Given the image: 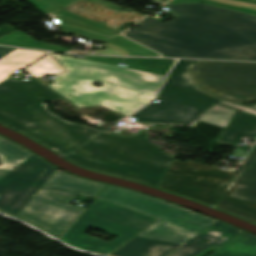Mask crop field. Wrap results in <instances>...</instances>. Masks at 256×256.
<instances>
[{
	"mask_svg": "<svg viewBox=\"0 0 256 256\" xmlns=\"http://www.w3.org/2000/svg\"><path fill=\"white\" fill-rule=\"evenodd\" d=\"M62 97L34 79L0 83V122L89 169L156 186L174 159L147 140L146 130L111 134L60 119L45 102Z\"/></svg>",
	"mask_w": 256,
	"mask_h": 256,
	"instance_id": "obj_1",
	"label": "crop field"
},
{
	"mask_svg": "<svg viewBox=\"0 0 256 256\" xmlns=\"http://www.w3.org/2000/svg\"><path fill=\"white\" fill-rule=\"evenodd\" d=\"M180 14L148 16L124 35L168 57L256 60V16L202 4L165 5Z\"/></svg>",
	"mask_w": 256,
	"mask_h": 256,
	"instance_id": "obj_2",
	"label": "crop field"
},
{
	"mask_svg": "<svg viewBox=\"0 0 256 256\" xmlns=\"http://www.w3.org/2000/svg\"><path fill=\"white\" fill-rule=\"evenodd\" d=\"M52 55L67 72L55 76V83L48 86L77 107L103 105L128 116L154 98L165 78L155 73ZM92 82L104 85L98 88Z\"/></svg>",
	"mask_w": 256,
	"mask_h": 256,
	"instance_id": "obj_3",
	"label": "crop field"
},
{
	"mask_svg": "<svg viewBox=\"0 0 256 256\" xmlns=\"http://www.w3.org/2000/svg\"><path fill=\"white\" fill-rule=\"evenodd\" d=\"M103 185L58 170L38 190L18 217L60 237L83 209L70 203L78 194L95 196Z\"/></svg>",
	"mask_w": 256,
	"mask_h": 256,
	"instance_id": "obj_4",
	"label": "crop field"
},
{
	"mask_svg": "<svg viewBox=\"0 0 256 256\" xmlns=\"http://www.w3.org/2000/svg\"><path fill=\"white\" fill-rule=\"evenodd\" d=\"M158 220L116 204L94 199L62 239L78 248L110 255ZM90 226L119 237L111 243L92 238L84 234Z\"/></svg>",
	"mask_w": 256,
	"mask_h": 256,
	"instance_id": "obj_5",
	"label": "crop field"
},
{
	"mask_svg": "<svg viewBox=\"0 0 256 256\" xmlns=\"http://www.w3.org/2000/svg\"><path fill=\"white\" fill-rule=\"evenodd\" d=\"M197 62H176L157 97L160 102L149 104L132 117L148 123L194 127L202 112L220 102L219 99L198 90L192 82L186 70Z\"/></svg>",
	"mask_w": 256,
	"mask_h": 256,
	"instance_id": "obj_6",
	"label": "crop field"
},
{
	"mask_svg": "<svg viewBox=\"0 0 256 256\" xmlns=\"http://www.w3.org/2000/svg\"><path fill=\"white\" fill-rule=\"evenodd\" d=\"M98 198L161 219L139 234L141 237L184 244L214 222L194 212L116 187L108 186Z\"/></svg>",
	"mask_w": 256,
	"mask_h": 256,
	"instance_id": "obj_7",
	"label": "crop field"
},
{
	"mask_svg": "<svg viewBox=\"0 0 256 256\" xmlns=\"http://www.w3.org/2000/svg\"><path fill=\"white\" fill-rule=\"evenodd\" d=\"M40 11L50 15L53 22L60 28L62 34L68 33L80 36L89 41L102 40L106 42L105 51L98 50V54H117L131 56H159L158 54L140 46L139 44L120 36L106 26L94 22L62 9L81 0H28ZM97 4L121 10L122 7L103 0H89Z\"/></svg>",
	"mask_w": 256,
	"mask_h": 256,
	"instance_id": "obj_8",
	"label": "crop field"
},
{
	"mask_svg": "<svg viewBox=\"0 0 256 256\" xmlns=\"http://www.w3.org/2000/svg\"><path fill=\"white\" fill-rule=\"evenodd\" d=\"M187 71L197 88L223 101H256V63L200 61Z\"/></svg>",
	"mask_w": 256,
	"mask_h": 256,
	"instance_id": "obj_9",
	"label": "crop field"
},
{
	"mask_svg": "<svg viewBox=\"0 0 256 256\" xmlns=\"http://www.w3.org/2000/svg\"><path fill=\"white\" fill-rule=\"evenodd\" d=\"M235 171L236 168L227 171L199 165L192 161H186L183 164L175 159L158 188L176 192L215 207Z\"/></svg>",
	"mask_w": 256,
	"mask_h": 256,
	"instance_id": "obj_10",
	"label": "crop field"
},
{
	"mask_svg": "<svg viewBox=\"0 0 256 256\" xmlns=\"http://www.w3.org/2000/svg\"><path fill=\"white\" fill-rule=\"evenodd\" d=\"M56 169L29 157L0 180V211L17 216Z\"/></svg>",
	"mask_w": 256,
	"mask_h": 256,
	"instance_id": "obj_11",
	"label": "crop field"
},
{
	"mask_svg": "<svg viewBox=\"0 0 256 256\" xmlns=\"http://www.w3.org/2000/svg\"><path fill=\"white\" fill-rule=\"evenodd\" d=\"M216 208L256 223V145L233 177Z\"/></svg>",
	"mask_w": 256,
	"mask_h": 256,
	"instance_id": "obj_12",
	"label": "crop field"
},
{
	"mask_svg": "<svg viewBox=\"0 0 256 256\" xmlns=\"http://www.w3.org/2000/svg\"><path fill=\"white\" fill-rule=\"evenodd\" d=\"M239 232L241 230L217 221L169 256H196L211 245L216 247L223 246L229 240L236 237Z\"/></svg>",
	"mask_w": 256,
	"mask_h": 256,
	"instance_id": "obj_13",
	"label": "crop field"
},
{
	"mask_svg": "<svg viewBox=\"0 0 256 256\" xmlns=\"http://www.w3.org/2000/svg\"><path fill=\"white\" fill-rule=\"evenodd\" d=\"M65 10H68L70 12H73L75 14H78L80 16L86 17L91 20L98 21L102 23V21L107 22L108 24H104L118 32H122L123 30L119 31L117 30L120 25L124 22H132L135 23L139 19H141L144 15L133 11V12H127V11H115L100 5H97L95 3L89 2L87 0H83L75 5H72Z\"/></svg>",
	"mask_w": 256,
	"mask_h": 256,
	"instance_id": "obj_14",
	"label": "crop field"
},
{
	"mask_svg": "<svg viewBox=\"0 0 256 256\" xmlns=\"http://www.w3.org/2000/svg\"><path fill=\"white\" fill-rule=\"evenodd\" d=\"M242 136L256 138V116L237 110L218 143L249 151L251 146H237Z\"/></svg>",
	"mask_w": 256,
	"mask_h": 256,
	"instance_id": "obj_15",
	"label": "crop field"
},
{
	"mask_svg": "<svg viewBox=\"0 0 256 256\" xmlns=\"http://www.w3.org/2000/svg\"><path fill=\"white\" fill-rule=\"evenodd\" d=\"M179 244L135 237L133 240L115 251L112 256H166Z\"/></svg>",
	"mask_w": 256,
	"mask_h": 256,
	"instance_id": "obj_16",
	"label": "crop field"
},
{
	"mask_svg": "<svg viewBox=\"0 0 256 256\" xmlns=\"http://www.w3.org/2000/svg\"><path fill=\"white\" fill-rule=\"evenodd\" d=\"M88 60L98 61L102 63L114 64L118 63L128 64L127 67L155 72L167 75L173 59H149V58H127V57H100V56H89Z\"/></svg>",
	"mask_w": 256,
	"mask_h": 256,
	"instance_id": "obj_17",
	"label": "crop field"
},
{
	"mask_svg": "<svg viewBox=\"0 0 256 256\" xmlns=\"http://www.w3.org/2000/svg\"><path fill=\"white\" fill-rule=\"evenodd\" d=\"M47 53L16 49L0 59V82L5 80L11 72L22 69Z\"/></svg>",
	"mask_w": 256,
	"mask_h": 256,
	"instance_id": "obj_18",
	"label": "crop field"
},
{
	"mask_svg": "<svg viewBox=\"0 0 256 256\" xmlns=\"http://www.w3.org/2000/svg\"><path fill=\"white\" fill-rule=\"evenodd\" d=\"M210 256H256V237L242 232Z\"/></svg>",
	"mask_w": 256,
	"mask_h": 256,
	"instance_id": "obj_19",
	"label": "crop field"
},
{
	"mask_svg": "<svg viewBox=\"0 0 256 256\" xmlns=\"http://www.w3.org/2000/svg\"><path fill=\"white\" fill-rule=\"evenodd\" d=\"M32 153L29 151L15 145L6 138L0 139V174L5 175L26 158H28Z\"/></svg>",
	"mask_w": 256,
	"mask_h": 256,
	"instance_id": "obj_20",
	"label": "crop field"
},
{
	"mask_svg": "<svg viewBox=\"0 0 256 256\" xmlns=\"http://www.w3.org/2000/svg\"><path fill=\"white\" fill-rule=\"evenodd\" d=\"M0 44L26 47V48L44 49V50H51V51H59V52L69 51L65 47L36 41L33 39V37L21 31H15L7 36L0 38Z\"/></svg>",
	"mask_w": 256,
	"mask_h": 256,
	"instance_id": "obj_21",
	"label": "crop field"
},
{
	"mask_svg": "<svg viewBox=\"0 0 256 256\" xmlns=\"http://www.w3.org/2000/svg\"><path fill=\"white\" fill-rule=\"evenodd\" d=\"M203 3L256 15V0H171L167 4Z\"/></svg>",
	"mask_w": 256,
	"mask_h": 256,
	"instance_id": "obj_22",
	"label": "crop field"
},
{
	"mask_svg": "<svg viewBox=\"0 0 256 256\" xmlns=\"http://www.w3.org/2000/svg\"><path fill=\"white\" fill-rule=\"evenodd\" d=\"M235 111V109L221 105L213 106L208 111L201 114L199 121H205L207 123L226 128Z\"/></svg>",
	"mask_w": 256,
	"mask_h": 256,
	"instance_id": "obj_23",
	"label": "crop field"
},
{
	"mask_svg": "<svg viewBox=\"0 0 256 256\" xmlns=\"http://www.w3.org/2000/svg\"><path fill=\"white\" fill-rule=\"evenodd\" d=\"M25 71L37 78L49 74L61 73L64 69L51 56H47L25 69Z\"/></svg>",
	"mask_w": 256,
	"mask_h": 256,
	"instance_id": "obj_24",
	"label": "crop field"
},
{
	"mask_svg": "<svg viewBox=\"0 0 256 256\" xmlns=\"http://www.w3.org/2000/svg\"><path fill=\"white\" fill-rule=\"evenodd\" d=\"M1 30H0V37L12 32L15 30V28L11 27L10 25L8 24H5L3 26L0 27Z\"/></svg>",
	"mask_w": 256,
	"mask_h": 256,
	"instance_id": "obj_25",
	"label": "crop field"
},
{
	"mask_svg": "<svg viewBox=\"0 0 256 256\" xmlns=\"http://www.w3.org/2000/svg\"><path fill=\"white\" fill-rule=\"evenodd\" d=\"M238 110H241V111H244V112H247V113H251V114H255L256 115V109H253V108H248V107H244V106H239L238 107Z\"/></svg>",
	"mask_w": 256,
	"mask_h": 256,
	"instance_id": "obj_26",
	"label": "crop field"
},
{
	"mask_svg": "<svg viewBox=\"0 0 256 256\" xmlns=\"http://www.w3.org/2000/svg\"><path fill=\"white\" fill-rule=\"evenodd\" d=\"M14 49L12 48H5V47H0V58L3 57L4 55L12 52Z\"/></svg>",
	"mask_w": 256,
	"mask_h": 256,
	"instance_id": "obj_27",
	"label": "crop field"
},
{
	"mask_svg": "<svg viewBox=\"0 0 256 256\" xmlns=\"http://www.w3.org/2000/svg\"><path fill=\"white\" fill-rule=\"evenodd\" d=\"M246 154H247L246 151L238 150V151H234L233 156L242 157V156H246Z\"/></svg>",
	"mask_w": 256,
	"mask_h": 256,
	"instance_id": "obj_28",
	"label": "crop field"
},
{
	"mask_svg": "<svg viewBox=\"0 0 256 256\" xmlns=\"http://www.w3.org/2000/svg\"><path fill=\"white\" fill-rule=\"evenodd\" d=\"M220 104H223V105L235 108V109H237V107H238V105H236V104H231V103H227V102H223V101H221Z\"/></svg>",
	"mask_w": 256,
	"mask_h": 256,
	"instance_id": "obj_29",
	"label": "crop field"
},
{
	"mask_svg": "<svg viewBox=\"0 0 256 256\" xmlns=\"http://www.w3.org/2000/svg\"><path fill=\"white\" fill-rule=\"evenodd\" d=\"M154 2L158 3V4H163L164 2H166L167 0H153Z\"/></svg>",
	"mask_w": 256,
	"mask_h": 256,
	"instance_id": "obj_30",
	"label": "crop field"
},
{
	"mask_svg": "<svg viewBox=\"0 0 256 256\" xmlns=\"http://www.w3.org/2000/svg\"><path fill=\"white\" fill-rule=\"evenodd\" d=\"M70 53H90V52L71 51Z\"/></svg>",
	"mask_w": 256,
	"mask_h": 256,
	"instance_id": "obj_31",
	"label": "crop field"
},
{
	"mask_svg": "<svg viewBox=\"0 0 256 256\" xmlns=\"http://www.w3.org/2000/svg\"><path fill=\"white\" fill-rule=\"evenodd\" d=\"M2 177V175H0V178Z\"/></svg>",
	"mask_w": 256,
	"mask_h": 256,
	"instance_id": "obj_32",
	"label": "crop field"
},
{
	"mask_svg": "<svg viewBox=\"0 0 256 256\" xmlns=\"http://www.w3.org/2000/svg\"><path fill=\"white\" fill-rule=\"evenodd\" d=\"M0 138H2V137H0Z\"/></svg>",
	"mask_w": 256,
	"mask_h": 256,
	"instance_id": "obj_33",
	"label": "crop field"
}]
</instances>
